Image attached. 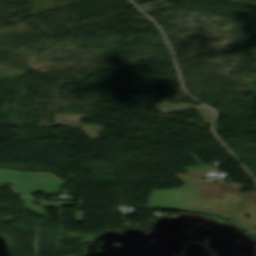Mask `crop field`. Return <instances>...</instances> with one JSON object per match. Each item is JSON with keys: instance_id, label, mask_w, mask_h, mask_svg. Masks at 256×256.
Masks as SVG:
<instances>
[{"instance_id": "crop-field-4", "label": "crop field", "mask_w": 256, "mask_h": 256, "mask_svg": "<svg viewBox=\"0 0 256 256\" xmlns=\"http://www.w3.org/2000/svg\"><path fill=\"white\" fill-rule=\"evenodd\" d=\"M21 201L24 203L25 207L32 211L33 213L43 216L42 207L35 206L31 202H36L34 198L31 197H19Z\"/></svg>"}, {"instance_id": "crop-field-5", "label": "crop field", "mask_w": 256, "mask_h": 256, "mask_svg": "<svg viewBox=\"0 0 256 256\" xmlns=\"http://www.w3.org/2000/svg\"><path fill=\"white\" fill-rule=\"evenodd\" d=\"M46 207H62L66 206V202H45Z\"/></svg>"}, {"instance_id": "crop-field-1", "label": "crop field", "mask_w": 256, "mask_h": 256, "mask_svg": "<svg viewBox=\"0 0 256 256\" xmlns=\"http://www.w3.org/2000/svg\"><path fill=\"white\" fill-rule=\"evenodd\" d=\"M209 169L210 165L186 168L187 174L175 175L184 187L152 191L147 207L205 212L232 220L247 194H240V186L206 183L198 173Z\"/></svg>"}, {"instance_id": "crop-field-3", "label": "crop field", "mask_w": 256, "mask_h": 256, "mask_svg": "<svg viewBox=\"0 0 256 256\" xmlns=\"http://www.w3.org/2000/svg\"><path fill=\"white\" fill-rule=\"evenodd\" d=\"M246 213L251 215L250 219L243 218ZM232 221L249 231H256V191L248 195Z\"/></svg>"}, {"instance_id": "crop-field-2", "label": "crop field", "mask_w": 256, "mask_h": 256, "mask_svg": "<svg viewBox=\"0 0 256 256\" xmlns=\"http://www.w3.org/2000/svg\"><path fill=\"white\" fill-rule=\"evenodd\" d=\"M11 184L21 195L55 192L62 182L52 173L16 172L0 168V184Z\"/></svg>"}]
</instances>
